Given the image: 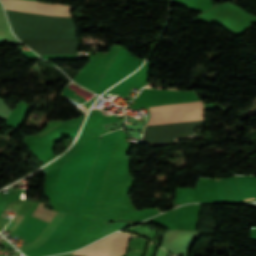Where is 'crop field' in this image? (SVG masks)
<instances>
[{"label":"crop field","instance_id":"1","mask_svg":"<svg viewBox=\"0 0 256 256\" xmlns=\"http://www.w3.org/2000/svg\"><path fill=\"white\" fill-rule=\"evenodd\" d=\"M97 148L98 138L88 141L68 162L63 164L55 190L82 196Z\"/></svg>","mask_w":256,"mask_h":256},{"label":"crop field","instance_id":"2","mask_svg":"<svg viewBox=\"0 0 256 256\" xmlns=\"http://www.w3.org/2000/svg\"><path fill=\"white\" fill-rule=\"evenodd\" d=\"M119 131V130H118ZM118 131L105 134L101 138L99 152L82 199V207L94 208L108 165L110 163Z\"/></svg>","mask_w":256,"mask_h":256},{"label":"crop field","instance_id":"3","mask_svg":"<svg viewBox=\"0 0 256 256\" xmlns=\"http://www.w3.org/2000/svg\"><path fill=\"white\" fill-rule=\"evenodd\" d=\"M149 109L151 116L147 124L204 120L201 101Z\"/></svg>","mask_w":256,"mask_h":256},{"label":"crop field","instance_id":"4","mask_svg":"<svg viewBox=\"0 0 256 256\" xmlns=\"http://www.w3.org/2000/svg\"><path fill=\"white\" fill-rule=\"evenodd\" d=\"M141 62L142 60L128 53L124 48H121L100 81L95 93L101 94L113 83L133 72L141 64Z\"/></svg>","mask_w":256,"mask_h":256},{"label":"crop field","instance_id":"5","mask_svg":"<svg viewBox=\"0 0 256 256\" xmlns=\"http://www.w3.org/2000/svg\"><path fill=\"white\" fill-rule=\"evenodd\" d=\"M130 236L127 233L117 232L73 254L81 256H125Z\"/></svg>","mask_w":256,"mask_h":256},{"label":"crop field","instance_id":"6","mask_svg":"<svg viewBox=\"0 0 256 256\" xmlns=\"http://www.w3.org/2000/svg\"><path fill=\"white\" fill-rule=\"evenodd\" d=\"M6 3L20 4V5H28L42 8H50V9H58V10H66L69 11L75 6L69 5H59V4H46L41 2H34L29 0H1ZM7 10H15V11H23V12H31V13H39L46 15H55V16H66L71 17L69 12L66 11H58V10H50V9H42L35 7H27V6H19V5H11L3 3Z\"/></svg>","mask_w":256,"mask_h":256},{"label":"crop field","instance_id":"7","mask_svg":"<svg viewBox=\"0 0 256 256\" xmlns=\"http://www.w3.org/2000/svg\"><path fill=\"white\" fill-rule=\"evenodd\" d=\"M218 202L244 203L234 177L215 180ZM246 198L247 199H253Z\"/></svg>","mask_w":256,"mask_h":256},{"label":"crop field","instance_id":"8","mask_svg":"<svg viewBox=\"0 0 256 256\" xmlns=\"http://www.w3.org/2000/svg\"><path fill=\"white\" fill-rule=\"evenodd\" d=\"M138 71L135 74H133L131 77L126 79L125 81H123V82L119 83L118 85H116L113 89H111V91H114V92H117V93L125 95V93L128 90L129 86L131 85V83L135 79Z\"/></svg>","mask_w":256,"mask_h":256}]
</instances>
